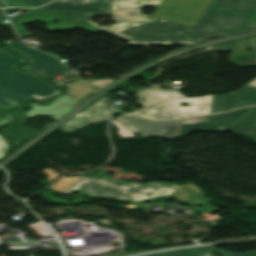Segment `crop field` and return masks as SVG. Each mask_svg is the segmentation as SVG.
Segmentation results:
<instances>
[{
  "label": "crop field",
  "instance_id": "obj_1",
  "mask_svg": "<svg viewBox=\"0 0 256 256\" xmlns=\"http://www.w3.org/2000/svg\"><path fill=\"white\" fill-rule=\"evenodd\" d=\"M256 31V0H213L190 32L199 38Z\"/></svg>",
  "mask_w": 256,
  "mask_h": 256
},
{
  "label": "crop field",
  "instance_id": "obj_2",
  "mask_svg": "<svg viewBox=\"0 0 256 256\" xmlns=\"http://www.w3.org/2000/svg\"><path fill=\"white\" fill-rule=\"evenodd\" d=\"M125 184H127L128 187H126ZM73 189H80L96 196H108L135 201L160 195L175 196L180 200H186L190 194L196 193L201 199H195V201H209L202 198L203 193L192 183L184 186L160 183L140 185L114 179L82 177L66 190L65 193H69Z\"/></svg>",
  "mask_w": 256,
  "mask_h": 256
},
{
  "label": "crop field",
  "instance_id": "obj_3",
  "mask_svg": "<svg viewBox=\"0 0 256 256\" xmlns=\"http://www.w3.org/2000/svg\"><path fill=\"white\" fill-rule=\"evenodd\" d=\"M191 28V26L157 20L110 34L117 35L130 43L169 46L173 41L188 44L201 40L189 32Z\"/></svg>",
  "mask_w": 256,
  "mask_h": 256
},
{
  "label": "crop field",
  "instance_id": "obj_4",
  "mask_svg": "<svg viewBox=\"0 0 256 256\" xmlns=\"http://www.w3.org/2000/svg\"><path fill=\"white\" fill-rule=\"evenodd\" d=\"M23 61L22 58H14L0 51L1 87L36 100L52 97L61 92L30 73L17 72L12 69L13 64Z\"/></svg>",
  "mask_w": 256,
  "mask_h": 256
},
{
  "label": "crop field",
  "instance_id": "obj_5",
  "mask_svg": "<svg viewBox=\"0 0 256 256\" xmlns=\"http://www.w3.org/2000/svg\"><path fill=\"white\" fill-rule=\"evenodd\" d=\"M75 101H78V100L66 94L65 96H62L54 100V102L50 106H38L34 104L32 105L33 109L32 110L30 109L31 111L29 112L15 111L13 113L19 115L21 120L17 126L5 127L4 128L5 134L12 136L13 138H15L16 142L21 143L39 131L37 129L30 128L23 125L27 121L28 117H35L37 114L49 115V116H51V114H54V116L52 117L57 120L60 117L67 114V112L72 109L70 107ZM25 114H27V116H25Z\"/></svg>",
  "mask_w": 256,
  "mask_h": 256
},
{
  "label": "crop field",
  "instance_id": "obj_6",
  "mask_svg": "<svg viewBox=\"0 0 256 256\" xmlns=\"http://www.w3.org/2000/svg\"><path fill=\"white\" fill-rule=\"evenodd\" d=\"M212 0H162L150 17L194 26Z\"/></svg>",
  "mask_w": 256,
  "mask_h": 256
},
{
  "label": "crop field",
  "instance_id": "obj_7",
  "mask_svg": "<svg viewBox=\"0 0 256 256\" xmlns=\"http://www.w3.org/2000/svg\"><path fill=\"white\" fill-rule=\"evenodd\" d=\"M137 1L139 4H134ZM157 1V2H155ZM161 0H114L112 4L111 16L115 19L117 23L110 26L100 27L93 24L91 21L87 22L99 27L100 29L110 33L117 30L125 29L142 23L150 22L153 18H148V15L140 13L143 5L157 6ZM115 25V27H113ZM105 27H110L106 29Z\"/></svg>",
  "mask_w": 256,
  "mask_h": 256
},
{
  "label": "crop field",
  "instance_id": "obj_8",
  "mask_svg": "<svg viewBox=\"0 0 256 256\" xmlns=\"http://www.w3.org/2000/svg\"><path fill=\"white\" fill-rule=\"evenodd\" d=\"M123 126L141 137L159 136L173 139L179 136L180 120L152 122L129 114L116 118Z\"/></svg>",
  "mask_w": 256,
  "mask_h": 256
},
{
  "label": "crop field",
  "instance_id": "obj_9",
  "mask_svg": "<svg viewBox=\"0 0 256 256\" xmlns=\"http://www.w3.org/2000/svg\"><path fill=\"white\" fill-rule=\"evenodd\" d=\"M112 0H58L44 6L65 13L75 20H87L97 13L108 14Z\"/></svg>",
  "mask_w": 256,
  "mask_h": 256
},
{
  "label": "crop field",
  "instance_id": "obj_10",
  "mask_svg": "<svg viewBox=\"0 0 256 256\" xmlns=\"http://www.w3.org/2000/svg\"><path fill=\"white\" fill-rule=\"evenodd\" d=\"M106 105H109L107 108ZM110 104L106 97L101 98L83 112H78L65 123L59 130L62 133H70L81 130L86 126L108 120Z\"/></svg>",
  "mask_w": 256,
  "mask_h": 256
},
{
  "label": "crop field",
  "instance_id": "obj_11",
  "mask_svg": "<svg viewBox=\"0 0 256 256\" xmlns=\"http://www.w3.org/2000/svg\"><path fill=\"white\" fill-rule=\"evenodd\" d=\"M253 108L254 107H247L232 112L181 120L180 135L188 134L196 130L229 125L240 119ZM223 115L225 117H222ZM225 121L228 122L226 123Z\"/></svg>",
  "mask_w": 256,
  "mask_h": 256
},
{
  "label": "crop field",
  "instance_id": "obj_12",
  "mask_svg": "<svg viewBox=\"0 0 256 256\" xmlns=\"http://www.w3.org/2000/svg\"><path fill=\"white\" fill-rule=\"evenodd\" d=\"M8 47L24 52L32 59H34V62H31L24 67L39 70L43 75L52 77L67 69L59 62V60L55 59L53 56L39 52L33 48L24 46L20 42L10 44L8 45Z\"/></svg>",
  "mask_w": 256,
  "mask_h": 256
},
{
  "label": "crop field",
  "instance_id": "obj_13",
  "mask_svg": "<svg viewBox=\"0 0 256 256\" xmlns=\"http://www.w3.org/2000/svg\"><path fill=\"white\" fill-rule=\"evenodd\" d=\"M256 104V87L244 86L240 91L228 95H212L211 113Z\"/></svg>",
  "mask_w": 256,
  "mask_h": 256
},
{
  "label": "crop field",
  "instance_id": "obj_14",
  "mask_svg": "<svg viewBox=\"0 0 256 256\" xmlns=\"http://www.w3.org/2000/svg\"><path fill=\"white\" fill-rule=\"evenodd\" d=\"M187 102L190 106L181 107L180 103ZM170 105L180 115L181 118L210 113L211 95L189 99L169 101ZM200 108H204L202 111Z\"/></svg>",
  "mask_w": 256,
  "mask_h": 256
},
{
  "label": "crop field",
  "instance_id": "obj_15",
  "mask_svg": "<svg viewBox=\"0 0 256 256\" xmlns=\"http://www.w3.org/2000/svg\"><path fill=\"white\" fill-rule=\"evenodd\" d=\"M136 97L139 101L141 98H145V101L140 102L144 107H146L159 102L178 99V97L184 98L185 95L181 94L178 90L169 92L168 90H160L159 87H154L152 89L139 92L136 94Z\"/></svg>",
  "mask_w": 256,
  "mask_h": 256
},
{
  "label": "crop field",
  "instance_id": "obj_16",
  "mask_svg": "<svg viewBox=\"0 0 256 256\" xmlns=\"http://www.w3.org/2000/svg\"><path fill=\"white\" fill-rule=\"evenodd\" d=\"M218 129L249 136L256 140V108L235 124Z\"/></svg>",
  "mask_w": 256,
  "mask_h": 256
},
{
  "label": "crop field",
  "instance_id": "obj_17",
  "mask_svg": "<svg viewBox=\"0 0 256 256\" xmlns=\"http://www.w3.org/2000/svg\"><path fill=\"white\" fill-rule=\"evenodd\" d=\"M160 104L161 106H158V104H156L130 113L154 120H169L180 118L168 102H163ZM155 108H158V110H155Z\"/></svg>",
  "mask_w": 256,
  "mask_h": 256
},
{
  "label": "crop field",
  "instance_id": "obj_18",
  "mask_svg": "<svg viewBox=\"0 0 256 256\" xmlns=\"http://www.w3.org/2000/svg\"><path fill=\"white\" fill-rule=\"evenodd\" d=\"M209 250H218L223 254V256H256V251H252L248 253H236V252L226 253L223 250L208 248V247L184 249V250L163 252V253H157V254H151V255H145V256H210L208 253Z\"/></svg>",
  "mask_w": 256,
  "mask_h": 256
},
{
  "label": "crop field",
  "instance_id": "obj_19",
  "mask_svg": "<svg viewBox=\"0 0 256 256\" xmlns=\"http://www.w3.org/2000/svg\"><path fill=\"white\" fill-rule=\"evenodd\" d=\"M68 86V92L67 94L71 95L72 97L80 100L81 98L85 97L92 91H95L96 89L88 85L82 80H79L77 82L67 84Z\"/></svg>",
  "mask_w": 256,
  "mask_h": 256
},
{
  "label": "crop field",
  "instance_id": "obj_20",
  "mask_svg": "<svg viewBox=\"0 0 256 256\" xmlns=\"http://www.w3.org/2000/svg\"><path fill=\"white\" fill-rule=\"evenodd\" d=\"M18 103L16 101H11L9 99L3 98L0 96V108L5 107H15ZM13 119L12 116L5 115L0 113V124L7 123ZM9 147V145L4 141V139L0 136V157L5 155L6 149Z\"/></svg>",
  "mask_w": 256,
  "mask_h": 256
},
{
  "label": "crop field",
  "instance_id": "obj_21",
  "mask_svg": "<svg viewBox=\"0 0 256 256\" xmlns=\"http://www.w3.org/2000/svg\"><path fill=\"white\" fill-rule=\"evenodd\" d=\"M79 178H81V177H69V178L62 177L61 179L56 181L54 184H52L50 186V188H52L58 192H64L73 183H75Z\"/></svg>",
  "mask_w": 256,
  "mask_h": 256
},
{
  "label": "crop field",
  "instance_id": "obj_22",
  "mask_svg": "<svg viewBox=\"0 0 256 256\" xmlns=\"http://www.w3.org/2000/svg\"><path fill=\"white\" fill-rule=\"evenodd\" d=\"M0 95L8 97V98L16 100V101L23 100V99L26 98V97H24L20 94L14 93L12 91L6 90V89L1 88V87H0Z\"/></svg>",
  "mask_w": 256,
  "mask_h": 256
},
{
  "label": "crop field",
  "instance_id": "obj_23",
  "mask_svg": "<svg viewBox=\"0 0 256 256\" xmlns=\"http://www.w3.org/2000/svg\"><path fill=\"white\" fill-rule=\"evenodd\" d=\"M112 123H114L116 125V127L120 130L118 131V134L120 135V137H130V136H135V134H133L132 132H130L129 130H127L125 127H123L119 122H117L116 120H112Z\"/></svg>",
  "mask_w": 256,
  "mask_h": 256
},
{
  "label": "crop field",
  "instance_id": "obj_24",
  "mask_svg": "<svg viewBox=\"0 0 256 256\" xmlns=\"http://www.w3.org/2000/svg\"><path fill=\"white\" fill-rule=\"evenodd\" d=\"M114 80L112 79H102V80H96V81H93V82H89L99 88H103L104 86H106L107 84L113 82Z\"/></svg>",
  "mask_w": 256,
  "mask_h": 256
},
{
  "label": "crop field",
  "instance_id": "obj_25",
  "mask_svg": "<svg viewBox=\"0 0 256 256\" xmlns=\"http://www.w3.org/2000/svg\"><path fill=\"white\" fill-rule=\"evenodd\" d=\"M19 1H25V2H29V3L41 5V4L47 3V2H49L51 0H19Z\"/></svg>",
  "mask_w": 256,
  "mask_h": 256
},
{
  "label": "crop field",
  "instance_id": "obj_26",
  "mask_svg": "<svg viewBox=\"0 0 256 256\" xmlns=\"http://www.w3.org/2000/svg\"><path fill=\"white\" fill-rule=\"evenodd\" d=\"M3 19H6V17L3 14H1L0 15V25H7V24H9V23H4Z\"/></svg>",
  "mask_w": 256,
  "mask_h": 256
},
{
  "label": "crop field",
  "instance_id": "obj_27",
  "mask_svg": "<svg viewBox=\"0 0 256 256\" xmlns=\"http://www.w3.org/2000/svg\"><path fill=\"white\" fill-rule=\"evenodd\" d=\"M15 9H17V8H7V9H3V11H4L5 13H9V12L15 10Z\"/></svg>",
  "mask_w": 256,
  "mask_h": 256
},
{
  "label": "crop field",
  "instance_id": "obj_28",
  "mask_svg": "<svg viewBox=\"0 0 256 256\" xmlns=\"http://www.w3.org/2000/svg\"><path fill=\"white\" fill-rule=\"evenodd\" d=\"M248 85L256 86V78L253 81H251Z\"/></svg>",
  "mask_w": 256,
  "mask_h": 256
},
{
  "label": "crop field",
  "instance_id": "obj_29",
  "mask_svg": "<svg viewBox=\"0 0 256 256\" xmlns=\"http://www.w3.org/2000/svg\"><path fill=\"white\" fill-rule=\"evenodd\" d=\"M7 6L6 4H4L3 2H0V7H4Z\"/></svg>",
  "mask_w": 256,
  "mask_h": 256
}]
</instances>
